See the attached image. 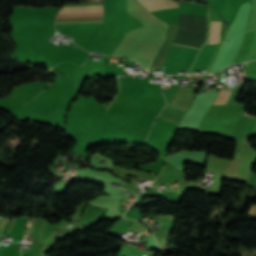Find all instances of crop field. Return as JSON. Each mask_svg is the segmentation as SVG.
<instances>
[{
    "label": "crop field",
    "mask_w": 256,
    "mask_h": 256,
    "mask_svg": "<svg viewBox=\"0 0 256 256\" xmlns=\"http://www.w3.org/2000/svg\"><path fill=\"white\" fill-rule=\"evenodd\" d=\"M102 13V2L65 5L58 14Z\"/></svg>",
    "instance_id": "crop-field-1"
},
{
    "label": "crop field",
    "mask_w": 256,
    "mask_h": 256,
    "mask_svg": "<svg viewBox=\"0 0 256 256\" xmlns=\"http://www.w3.org/2000/svg\"><path fill=\"white\" fill-rule=\"evenodd\" d=\"M154 0H140L141 3L150 2ZM149 11L162 9L166 7L176 6L178 3L171 0H157L154 2L144 4Z\"/></svg>",
    "instance_id": "crop-field-2"
},
{
    "label": "crop field",
    "mask_w": 256,
    "mask_h": 256,
    "mask_svg": "<svg viewBox=\"0 0 256 256\" xmlns=\"http://www.w3.org/2000/svg\"><path fill=\"white\" fill-rule=\"evenodd\" d=\"M219 22H212L209 43L217 42ZM220 28V27H219ZM219 38V37H218Z\"/></svg>",
    "instance_id": "crop-field-3"
},
{
    "label": "crop field",
    "mask_w": 256,
    "mask_h": 256,
    "mask_svg": "<svg viewBox=\"0 0 256 256\" xmlns=\"http://www.w3.org/2000/svg\"><path fill=\"white\" fill-rule=\"evenodd\" d=\"M12 224H13V222H12ZM12 224H11V226H12ZM11 228V227H10Z\"/></svg>",
    "instance_id": "crop-field-4"
},
{
    "label": "crop field",
    "mask_w": 256,
    "mask_h": 256,
    "mask_svg": "<svg viewBox=\"0 0 256 256\" xmlns=\"http://www.w3.org/2000/svg\"><path fill=\"white\" fill-rule=\"evenodd\" d=\"M253 68H256V67H253Z\"/></svg>",
    "instance_id": "crop-field-5"
},
{
    "label": "crop field",
    "mask_w": 256,
    "mask_h": 256,
    "mask_svg": "<svg viewBox=\"0 0 256 256\" xmlns=\"http://www.w3.org/2000/svg\"><path fill=\"white\" fill-rule=\"evenodd\" d=\"M255 182H256V179H255Z\"/></svg>",
    "instance_id": "crop-field-6"
},
{
    "label": "crop field",
    "mask_w": 256,
    "mask_h": 256,
    "mask_svg": "<svg viewBox=\"0 0 256 256\" xmlns=\"http://www.w3.org/2000/svg\"><path fill=\"white\" fill-rule=\"evenodd\" d=\"M198 49V48H197Z\"/></svg>",
    "instance_id": "crop-field-7"
}]
</instances>
